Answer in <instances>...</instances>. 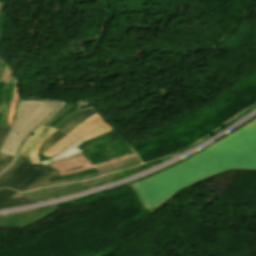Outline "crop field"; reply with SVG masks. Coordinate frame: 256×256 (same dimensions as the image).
Listing matches in <instances>:
<instances>
[{
    "mask_svg": "<svg viewBox=\"0 0 256 256\" xmlns=\"http://www.w3.org/2000/svg\"><path fill=\"white\" fill-rule=\"evenodd\" d=\"M214 159V155L207 148L169 169L128 187L136 196L139 205L149 213H154L182 189L203 181L200 174Z\"/></svg>",
    "mask_w": 256,
    "mask_h": 256,
    "instance_id": "8a807250",
    "label": "crop field"
},
{
    "mask_svg": "<svg viewBox=\"0 0 256 256\" xmlns=\"http://www.w3.org/2000/svg\"><path fill=\"white\" fill-rule=\"evenodd\" d=\"M61 103L53 101L20 100L14 123L0 153L15 156L28 135L47 119ZM13 151L10 152L9 149Z\"/></svg>",
    "mask_w": 256,
    "mask_h": 256,
    "instance_id": "ac0d7876",
    "label": "crop field"
},
{
    "mask_svg": "<svg viewBox=\"0 0 256 256\" xmlns=\"http://www.w3.org/2000/svg\"><path fill=\"white\" fill-rule=\"evenodd\" d=\"M60 171L44 165L30 164L24 156H18L11 166L0 175V188L11 187L20 191L44 187Z\"/></svg>",
    "mask_w": 256,
    "mask_h": 256,
    "instance_id": "34b2d1b8",
    "label": "crop field"
},
{
    "mask_svg": "<svg viewBox=\"0 0 256 256\" xmlns=\"http://www.w3.org/2000/svg\"><path fill=\"white\" fill-rule=\"evenodd\" d=\"M256 147V119L208 147L216 158L237 155Z\"/></svg>",
    "mask_w": 256,
    "mask_h": 256,
    "instance_id": "412701ff",
    "label": "crop field"
},
{
    "mask_svg": "<svg viewBox=\"0 0 256 256\" xmlns=\"http://www.w3.org/2000/svg\"><path fill=\"white\" fill-rule=\"evenodd\" d=\"M90 118V117H89ZM113 131L107 123L96 113L90 119L84 121L80 126L76 129L68 133L63 139L49 148L42 155L46 157H52L58 154L60 151L65 149L72 142L77 140L78 138L82 139L84 142L89 141L91 139L97 138L104 134Z\"/></svg>",
    "mask_w": 256,
    "mask_h": 256,
    "instance_id": "f4fd0767",
    "label": "crop field"
},
{
    "mask_svg": "<svg viewBox=\"0 0 256 256\" xmlns=\"http://www.w3.org/2000/svg\"><path fill=\"white\" fill-rule=\"evenodd\" d=\"M229 170H256V148L237 156L215 160L201 176L209 179Z\"/></svg>",
    "mask_w": 256,
    "mask_h": 256,
    "instance_id": "dd49c442",
    "label": "crop field"
},
{
    "mask_svg": "<svg viewBox=\"0 0 256 256\" xmlns=\"http://www.w3.org/2000/svg\"><path fill=\"white\" fill-rule=\"evenodd\" d=\"M119 177L117 173L107 175L101 178H97L94 180H89V181H83L79 183H72V184H66L58 187H50V188H44V189H37L32 192L28 193H21L22 195L26 196L31 202L37 201L40 199L48 198V197H53L57 195H61L64 193H68L71 191L87 188L90 186H93L98 183H103L105 181H110L112 179H115Z\"/></svg>",
    "mask_w": 256,
    "mask_h": 256,
    "instance_id": "e52e79f7",
    "label": "crop field"
},
{
    "mask_svg": "<svg viewBox=\"0 0 256 256\" xmlns=\"http://www.w3.org/2000/svg\"><path fill=\"white\" fill-rule=\"evenodd\" d=\"M131 156H135V153L126 155V156H123V157H120L117 159H113V160H110L107 162L99 163V164H96L93 166L81 153L79 155L60 160L58 162H55V163L47 165V166L61 170L62 172L58 175V176H60V175L74 174V173L82 172V171L89 170L92 168H97V167L112 163V162L120 160V159L131 157Z\"/></svg>",
    "mask_w": 256,
    "mask_h": 256,
    "instance_id": "d8731c3e",
    "label": "crop field"
},
{
    "mask_svg": "<svg viewBox=\"0 0 256 256\" xmlns=\"http://www.w3.org/2000/svg\"><path fill=\"white\" fill-rule=\"evenodd\" d=\"M54 131L49 127H40L32 134L19 155L26 156L31 163L40 164L37 159V151L46 138Z\"/></svg>",
    "mask_w": 256,
    "mask_h": 256,
    "instance_id": "5a996713",
    "label": "crop field"
},
{
    "mask_svg": "<svg viewBox=\"0 0 256 256\" xmlns=\"http://www.w3.org/2000/svg\"><path fill=\"white\" fill-rule=\"evenodd\" d=\"M58 210H60V208L52 207V208L37 210L33 212L10 215L9 218L11 221L9 222L6 228L17 227L22 230L28 225Z\"/></svg>",
    "mask_w": 256,
    "mask_h": 256,
    "instance_id": "3316defc",
    "label": "crop field"
},
{
    "mask_svg": "<svg viewBox=\"0 0 256 256\" xmlns=\"http://www.w3.org/2000/svg\"><path fill=\"white\" fill-rule=\"evenodd\" d=\"M10 85L4 84L3 93H2V119L0 121V146L2 145L10 127L12 124L6 123L7 117V97L9 92ZM14 157L9 155H2L0 154V172L3 171L8 165L11 164Z\"/></svg>",
    "mask_w": 256,
    "mask_h": 256,
    "instance_id": "28ad6ade",
    "label": "crop field"
},
{
    "mask_svg": "<svg viewBox=\"0 0 256 256\" xmlns=\"http://www.w3.org/2000/svg\"><path fill=\"white\" fill-rule=\"evenodd\" d=\"M79 108L70 105L64 104L57 112H55L43 125L44 126H52V127H59L64 122H66L69 118L79 113Z\"/></svg>",
    "mask_w": 256,
    "mask_h": 256,
    "instance_id": "d1516ede",
    "label": "crop field"
},
{
    "mask_svg": "<svg viewBox=\"0 0 256 256\" xmlns=\"http://www.w3.org/2000/svg\"><path fill=\"white\" fill-rule=\"evenodd\" d=\"M140 163L141 162H140L139 158L137 156H135V157L120 160V161H117L115 163L97 168V170L101 175H106V174H110V173H113L115 171H118V170H121V169H124V168H128V167L138 165Z\"/></svg>",
    "mask_w": 256,
    "mask_h": 256,
    "instance_id": "22f410ed",
    "label": "crop field"
},
{
    "mask_svg": "<svg viewBox=\"0 0 256 256\" xmlns=\"http://www.w3.org/2000/svg\"><path fill=\"white\" fill-rule=\"evenodd\" d=\"M27 202H29V200L17 191L0 189V207Z\"/></svg>",
    "mask_w": 256,
    "mask_h": 256,
    "instance_id": "cbeb9de0",
    "label": "crop field"
},
{
    "mask_svg": "<svg viewBox=\"0 0 256 256\" xmlns=\"http://www.w3.org/2000/svg\"><path fill=\"white\" fill-rule=\"evenodd\" d=\"M95 113H96L95 110L92 109V108L84 110L79 114L77 113L78 115L72 117L70 120H68L62 126H60L58 129L68 133L71 130H73L75 127L80 125L84 120L88 119L89 117H91Z\"/></svg>",
    "mask_w": 256,
    "mask_h": 256,
    "instance_id": "5142ce71",
    "label": "crop field"
},
{
    "mask_svg": "<svg viewBox=\"0 0 256 256\" xmlns=\"http://www.w3.org/2000/svg\"><path fill=\"white\" fill-rule=\"evenodd\" d=\"M81 142H83L82 140L78 139L77 141H75L73 144H71L70 146H68L64 151L60 152L58 155H56L55 157L53 158H49V159H46L44 161H41L40 163L41 164H44V165H47V164H50V163H53L55 161H58L60 159H63V158H66V157H70V156H73V155H76V154H79L81 153L82 151L79 150L76 146L78 144H80Z\"/></svg>",
    "mask_w": 256,
    "mask_h": 256,
    "instance_id": "d9b57169",
    "label": "crop field"
},
{
    "mask_svg": "<svg viewBox=\"0 0 256 256\" xmlns=\"http://www.w3.org/2000/svg\"><path fill=\"white\" fill-rule=\"evenodd\" d=\"M66 134L61 133L59 131L54 132L52 135L48 137V139L42 144V146L39 149L38 154H42L44 151H46L49 147H51L54 143H56L58 140H60L62 137H64Z\"/></svg>",
    "mask_w": 256,
    "mask_h": 256,
    "instance_id": "733c2abd",
    "label": "crop field"
},
{
    "mask_svg": "<svg viewBox=\"0 0 256 256\" xmlns=\"http://www.w3.org/2000/svg\"><path fill=\"white\" fill-rule=\"evenodd\" d=\"M97 176H100L99 173L91 174V175H87V176H83V177H79V178H75V179L55 181V182L49 183L46 186L58 185V184H62V183L72 182V181L86 180V179H91V178H94Z\"/></svg>",
    "mask_w": 256,
    "mask_h": 256,
    "instance_id": "4a817a6b",
    "label": "crop field"
},
{
    "mask_svg": "<svg viewBox=\"0 0 256 256\" xmlns=\"http://www.w3.org/2000/svg\"><path fill=\"white\" fill-rule=\"evenodd\" d=\"M13 77L11 71H10V68L7 67L3 76H2V79H1V82H6V83H9L11 78Z\"/></svg>",
    "mask_w": 256,
    "mask_h": 256,
    "instance_id": "bc2a9ffb",
    "label": "crop field"
},
{
    "mask_svg": "<svg viewBox=\"0 0 256 256\" xmlns=\"http://www.w3.org/2000/svg\"><path fill=\"white\" fill-rule=\"evenodd\" d=\"M8 221V218L6 217H0V229L4 228L6 223Z\"/></svg>",
    "mask_w": 256,
    "mask_h": 256,
    "instance_id": "214f88e0",
    "label": "crop field"
},
{
    "mask_svg": "<svg viewBox=\"0 0 256 256\" xmlns=\"http://www.w3.org/2000/svg\"><path fill=\"white\" fill-rule=\"evenodd\" d=\"M5 67H6V65L2 61H0V79H1V76H2V73L5 69Z\"/></svg>",
    "mask_w": 256,
    "mask_h": 256,
    "instance_id": "92a150f3",
    "label": "crop field"
},
{
    "mask_svg": "<svg viewBox=\"0 0 256 256\" xmlns=\"http://www.w3.org/2000/svg\"><path fill=\"white\" fill-rule=\"evenodd\" d=\"M5 6V4L0 2V11H2V8Z\"/></svg>",
    "mask_w": 256,
    "mask_h": 256,
    "instance_id": "dafd665d",
    "label": "crop field"
},
{
    "mask_svg": "<svg viewBox=\"0 0 256 256\" xmlns=\"http://www.w3.org/2000/svg\"><path fill=\"white\" fill-rule=\"evenodd\" d=\"M2 104H0V113H1ZM1 115V114H0Z\"/></svg>",
    "mask_w": 256,
    "mask_h": 256,
    "instance_id": "00972430",
    "label": "crop field"
}]
</instances>
